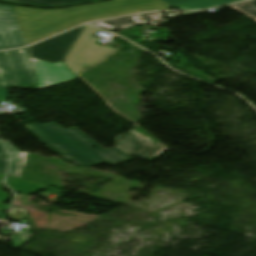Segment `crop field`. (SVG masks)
I'll return each instance as SVG.
<instances>
[{
  "label": "crop field",
  "instance_id": "e52e79f7",
  "mask_svg": "<svg viewBox=\"0 0 256 256\" xmlns=\"http://www.w3.org/2000/svg\"><path fill=\"white\" fill-rule=\"evenodd\" d=\"M30 59L36 71L38 89L70 82L77 78L63 61L50 64Z\"/></svg>",
  "mask_w": 256,
  "mask_h": 256
},
{
  "label": "crop field",
  "instance_id": "d8731c3e",
  "mask_svg": "<svg viewBox=\"0 0 256 256\" xmlns=\"http://www.w3.org/2000/svg\"><path fill=\"white\" fill-rule=\"evenodd\" d=\"M115 147L133 157L148 160L164 146L157 145L134 132H129L116 139Z\"/></svg>",
  "mask_w": 256,
  "mask_h": 256
},
{
  "label": "crop field",
  "instance_id": "8a807250",
  "mask_svg": "<svg viewBox=\"0 0 256 256\" xmlns=\"http://www.w3.org/2000/svg\"><path fill=\"white\" fill-rule=\"evenodd\" d=\"M13 7L27 45L85 22L142 11L168 10L171 8L160 0H113L60 10Z\"/></svg>",
  "mask_w": 256,
  "mask_h": 256
},
{
  "label": "crop field",
  "instance_id": "dafd665d",
  "mask_svg": "<svg viewBox=\"0 0 256 256\" xmlns=\"http://www.w3.org/2000/svg\"><path fill=\"white\" fill-rule=\"evenodd\" d=\"M8 208H9V205L0 203V210L7 211Z\"/></svg>",
  "mask_w": 256,
  "mask_h": 256
},
{
  "label": "crop field",
  "instance_id": "cbeb9de0",
  "mask_svg": "<svg viewBox=\"0 0 256 256\" xmlns=\"http://www.w3.org/2000/svg\"><path fill=\"white\" fill-rule=\"evenodd\" d=\"M229 8L247 16L248 18L256 22V5L252 2H244L241 4L229 6Z\"/></svg>",
  "mask_w": 256,
  "mask_h": 256
},
{
  "label": "crop field",
  "instance_id": "a9b5d70f",
  "mask_svg": "<svg viewBox=\"0 0 256 256\" xmlns=\"http://www.w3.org/2000/svg\"><path fill=\"white\" fill-rule=\"evenodd\" d=\"M26 156H27L26 152H22V155L18 156V157L24 158V160H23L24 165H25V161H26Z\"/></svg>",
  "mask_w": 256,
  "mask_h": 256
},
{
  "label": "crop field",
  "instance_id": "d9b57169",
  "mask_svg": "<svg viewBox=\"0 0 256 256\" xmlns=\"http://www.w3.org/2000/svg\"><path fill=\"white\" fill-rule=\"evenodd\" d=\"M31 237H32L31 233H27V234L18 235V236H10V240L12 241L14 247H19Z\"/></svg>",
  "mask_w": 256,
  "mask_h": 256
},
{
  "label": "crop field",
  "instance_id": "00972430",
  "mask_svg": "<svg viewBox=\"0 0 256 256\" xmlns=\"http://www.w3.org/2000/svg\"><path fill=\"white\" fill-rule=\"evenodd\" d=\"M110 54H111V53L106 54V55L104 56V58H105L106 56L110 55ZM96 64H97V63H96ZM93 65H95V64L84 65V66L81 67V68H82V70H85L86 68H89V67H91V66H93Z\"/></svg>",
  "mask_w": 256,
  "mask_h": 256
},
{
  "label": "crop field",
  "instance_id": "22f410ed",
  "mask_svg": "<svg viewBox=\"0 0 256 256\" xmlns=\"http://www.w3.org/2000/svg\"><path fill=\"white\" fill-rule=\"evenodd\" d=\"M15 2L31 3L38 6H63L92 0H8Z\"/></svg>",
  "mask_w": 256,
  "mask_h": 256
},
{
  "label": "crop field",
  "instance_id": "412701ff",
  "mask_svg": "<svg viewBox=\"0 0 256 256\" xmlns=\"http://www.w3.org/2000/svg\"><path fill=\"white\" fill-rule=\"evenodd\" d=\"M94 34L82 31L78 40L67 54L64 63L77 75L81 73V66L84 64L95 63L102 59L103 55L116 49L109 45L100 47L95 42L100 38L92 37Z\"/></svg>",
  "mask_w": 256,
  "mask_h": 256
},
{
  "label": "crop field",
  "instance_id": "f4fd0767",
  "mask_svg": "<svg viewBox=\"0 0 256 256\" xmlns=\"http://www.w3.org/2000/svg\"><path fill=\"white\" fill-rule=\"evenodd\" d=\"M83 27L76 28L29 47L28 49L31 57L50 63L64 60L66 54L75 43Z\"/></svg>",
  "mask_w": 256,
  "mask_h": 256
},
{
  "label": "crop field",
  "instance_id": "92a150f3",
  "mask_svg": "<svg viewBox=\"0 0 256 256\" xmlns=\"http://www.w3.org/2000/svg\"><path fill=\"white\" fill-rule=\"evenodd\" d=\"M4 156H7L1 142H0V157H4Z\"/></svg>",
  "mask_w": 256,
  "mask_h": 256
},
{
  "label": "crop field",
  "instance_id": "34b2d1b8",
  "mask_svg": "<svg viewBox=\"0 0 256 256\" xmlns=\"http://www.w3.org/2000/svg\"><path fill=\"white\" fill-rule=\"evenodd\" d=\"M35 71L25 49L0 53V101H6L7 89L29 88L36 83Z\"/></svg>",
  "mask_w": 256,
  "mask_h": 256
},
{
  "label": "crop field",
  "instance_id": "214f88e0",
  "mask_svg": "<svg viewBox=\"0 0 256 256\" xmlns=\"http://www.w3.org/2000/svg\"><path fill=\"white\" fill-rule=\"evenodd\" d=\"M84 31L97 34V33H99L101 30H98V29H95V28H92V27H89V26H85V27H84Z\"/></svg>",
  "mask_w": 256,
  "mask_h": 256
},
{
  "label": "crop field",
  "instance_id": "28ad6ade",
  "mask_svg": "<svg viewBox=\"0 0 256 256\" xmlns=\"http://www.w3.org/2000/svg\"><path fill=\"white\" fill-rule=\"evenodd\" d=\"M92 24L111 30V31H115V30L131 27L134 25H140V24H143V22L139 20L137 15H134V16L124 17L119 19L96 22Z\"/></svg>",
  "mask_w": 256,
  "mask_h": 256
},
{
  "label": "crop field",
  "instance_id": "ac0d7876",
  "mask_svg": "<svg viewBox=\"0 0 256 256\" xmlns=\"http://www.w3.org/2000/svg\"><path fill=\"white\" fill-rule=\"evenodd\" d=\"M52 151L76 166H91L106 162L115 165L132 159L116 148L105 150L75 128L64 130L55 123L24 125ZM93 146L97 148H93Z\"/></svg>",
  "mask_w": 256,
  "mask_h": 256
},
{
  "label": "crop field",
  "instance_id": "733c2abd",
  "mask_svg": "<svg viewBox=\"0 0 256 256\" xmlns=\"http://www.w3.org/2000/svg\"><path fill=\"white\" fill-rule=\"evenodd\" d=\"M9 216L14 220H19V219H23L26 218V211L24 209L21 208H17L15 206H13L10 210Z\"/></svg>",
  "mask_w": 256,
  "mask_h": 256
},
{
  "label": "crop field",
  "instance_id": "dd49c442",
  "mask_svg": "<svg viewBox=\"0 0 256 256\" xmlns=\"http://www.w3.org/2000/svg\"><path fill=\"white\" fill-rule=\"evenodd\" d=\"M19 23L12 6L0 5V46L10 49L25 46Z\"/></svg>",
  "mask_w": 256,
  "mask_h": 256
},
{
  "label": "crop field",
  "instance_id": "bc2a9ffb",
  "mask_svg": "<svg viewBox=\"0 0 256 256\" xmlns=\"http://www.w3.org/2000/svg\"><path fill=\"white\" fill-rule=\"evenodd\" d=\"M9 158L0 159V173H6Z\"/></svg>",
  "mask_w": 256,
  "mask_h": 256
},
{
  "label": "crop field",
  "instance_id": "d1516ede",
  "mask_svg": "<svg viewBox=\"0 0 256 256\" xmlns=\"http://www.w3.org/2000/svg\"><path fill=\"white\" fill-rule=\"evenodd\" d=\"M4 143L13 157L8 175L20 178L23 170L22 159L15 157L20 155V152L18 149L12 147L9 141H4Z\"/></svg>",
  "mask_w": 256,
  "mask_h": 256
},
{
  "label": "crop field",
  "instance_id": "5a996713",
  "mask_svg": "<svg viewBox=\"0 0 256 256\" xmlns=\"http://www.w3.org/2000/svg\"><path fill=\"white\" fill-rule=\"evenodd\" d=\"M171 7L186 9V10H199L217 7L220 5L240 1V0H161Z\"/></svg>",
  "mask_w": 256,
  "mask_h": 256
},
{
  "label": "crop field",
  "instance_id": "3316defc",
  "mask_svg": "<svg viewBox=\"0 0 256 256\" xmlns=\"http://www.w3.org/2000/svg\"><path fill=\"white\" fill-rule=\"evenodd\" d=\"M6 183L14 191L25 195H30L31 193H38L39 190H45L46 188H48L47 185L23 179H17L9 176H6Z\"/></svg>",
  "mask_w": 256,
  "mask_h": 256
},
{
  "label": "crop field",
  "instance_id": "4a817a6b",
  "mask_svg": "<svg viewBox=\"0 0 256 256\" xmlns=\"http://www.w3.org/2000/svg\"><path fill=\"white\" fill-rule=\"evenodd\" d=\"M3 177H4V174H0V202L5 203L8 200H10V195L8 193L2 192V186H3L2 179H3Z\"/></svg>",
  "mask_w": 256,
  "mask_h": 256
},
{
  "label": "crop field",
  "instance_id": "5142ce71",
  "mask_svg": "<svg viewBox=\"0 0 256 256\" xmlns=\"http://www.w3.org/2000/svg\"><path fill=\"white\" fill-rule=\"evenodd\" d=\"M140 16L145 23H150L154 27L163 26V24L167 22L162 13H148L141 14Z\"/></svg>",
  "mask_w": 256,
  "mask_h": 256
}]
</instances>
